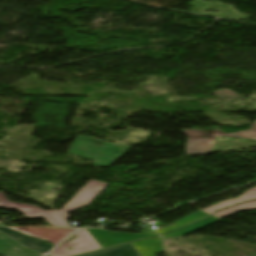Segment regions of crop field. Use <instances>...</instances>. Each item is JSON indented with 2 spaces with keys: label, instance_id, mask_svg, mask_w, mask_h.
<instances>
[{
  "label": "crop field",
  "instance_id": "obj_1",
  "mask_svg": "<svg viewBox=\"0 0 256 256\" xmlns=\"http://www.w3.org/2000/svg\"><path fill=\"white\" fill-rule=\"evenodd\" d=\"M107 185V183L95 180L88 181L62 210L43 211L35 206L10 202L1 191L0 206L19 210L26 218L45 217L51 226L70 227L65 221L68 218L65 212H73L88 205Z\"/></svg>",
  "mask_w": 256,
  "mask_h": 256
},
{
  "label": "crop field",
  "instance_id": "obj_2",
  "mask_svg": "<svg viewBox=\"0 0 256 256\" xmlns=\"http://www.w3.org/2000/svg\"><path fill=\"white\" fill-rule=\"evenodd\" d=\"M125 149L127 148L77 134L68 153L93 159L94 166H108L126 154L127 152H121Z\"/></svg>",
  "mask_w": 256,
  "mask_h": 256
},
{
  "label": "crop field",
  "instance_id": "obj_3",
  "mask_svg": "<svg viewBox=\"0 0 256 256\" xmlns=\"http://www.w3.org/2000/svg\"><path fill=\"white\" fill-rule=\"evenodd\" d=\"M182 132L186 136L190 137L187 140L186 146L188 156L202 155L211 152L215 141V136L250 138L256 140V122L251 125L250 130L239 131L232 134H225L216 129L211 132L198 129L182 130Z\"/></svg>",
  "mask_w": 256,
  "mask_h": 256
},
{
  "label": "crop field",
  "instance_id": "obj_4",
  "mask_svg": "<svg viewBox=\"0 0 256 256\" xmlns=\"http://www.w3.org/2000/svg\"><path fill=\"white\" fill-rule=\"evenodd\" d=\"M75 234L78 237L77 239L57 247L49 256H71L101 249L86 229L77 231ZM67 247H72L74 250H68Z\"/></svg>",
  "mask_w": 256,
  "mask_h": 256
},
{
  "label": "crop field",
  "instance_id": "obj_5",
  "mask_svg": "<svg viewBox=\"0 0 256 256\" xmlns=\"http://www.w3.org/2000/svg\"><path fill=\"white\" fill-rule=\"evenodd\" d=\"M87 230L102 248L127 242V241H131V240H135V239H139V238L158 236L155 233L133 235V234H125V233H110L102 229H87Z\"/></svg>",
  "mask_w": 256,
  "mask_h": 256
},
{
  "label": "crop field",
  "instance_id": "obj_6",
  "mask_svg": "<svg viewBox=\"0 0 256 256\" xmlns=\"http://www.w3.org/2000/svg\"><path fill=\"white\" fill-rule=\"evenodd\" d=\"M0 232L10 236L24 247L42 254H46L51 248L54 247L53 245L46 244V240L31 237L9 228H0Z\"/></svg>",
  "mask_w": 256,
  "mask_h": 256
},
{
  "label": "crop field",
  "instance_id": "obj_7",
  "mask_svg": "<svg viewBox=\"0 0 256 256\" xmlns=\"http://www.w3.org/2000/svg\"><path fill=\"white\" fill-rule=\"evenodd\" d=\"M0 253L7 256H42L22 248L13 240L0 234Z\"/></svg>",
  "mask_w": 256,
  "mask_h": 256
},
{
  "label": "crop field",
  "instance_id": "obj_8",
  "mask_svg": "<svg viewBox=\"0 0 256 256\" xmlns=\"http://www.w3.org/2000/svg\"><path fill=\"white\" fill-rule=\"evenodd\" d=\"M141 256H155L162 252L160 237L157 239H146L132 243Z\"/></svg>",
  "mask_w": 256,
  "mask_h": 256
},
{
  "label": "crop field",
  "instance_id": "obj_9",
  "mask_svg": "<svg viewBox=\"0 0 256 256\" xmlns=\"http://www.w3.org/2000/svg\"><path fill=\"white\" fill-rule=\"evenodd\" d=\"M256 200V188H253L251 190L246 191L243 195L239 196L238 198L234 200H228L226 202L211 206L207 209H204L202 211L211 214L213 212L219 211L221 209L230 207L232 205L238 204L240 202H247V201H252Z\"/></svg>",
  "mask_w": 256,
  "mask_h": 256
},
{
  "label": "crop field",
  "instance_id": "obj_10",
  "mask_svg": "<svg viewBox=\"0 0 256 256\" xmlns=\"http://www.w3.org/2000/svg\"><path fill=\"white\" fill-rule=\"evenodd\" d=\"M82 256H139L130 243Z\"/></svg>",
  "mask_w": 256,
  "mask_h": 256
},
{
  "label": "crop field",
  "instance_id": "obj_11",
  "mask_svg": "<svg viewBox=\"0 0 256 256\" xmlns=\"http://www.w3.org/2000/svg\"><path fill=\"white\" fill-rule=\"evenodd\" d=\"M218 221H220V220H218V219H216V218L211 216V217H208V218L203 219L201 221H198V222H196V223H194L192 225H189V226H187L185 228H182L180 230H177V231H174L172 233H169V234H167V235H165L163 237L186 235V234L194 232V231H196L198 229H201L203 227H206V226L211 225V224H213L215 222H218Z\"/></svg>",
  "mask_w": 256,
  "mask_h": 256
},
{
  "label": "crop field",
  "instance_id": "obj_12",
  "mask_svg": "<svg viewBox=\"0 0 256 256\" xmlns=\"http://www.w3.org/2000/svg\"><path fill=\"white\" fill-rule=\"evenodd\" d=\"M199 211H200V210H199ZM197 212H198V211H197ZM207 216H209V215L206 214V213H204V212H202V211H200V212L195 213V214H193V215H191V216H188V217H186V218H183V219L174 221L175 226H173V227H163V228H161V229H159V230H156V232H158L160 235H162V234H164V233H167V232H169V231H172V230H174V229H177V228H179V227H182V226H184V225H187V224H189V223H192V222H194V221H197V220L202 219V218L207 217Z\"/></svg>",
  "mask_w": 256,
  "mask_h": 256
},
{
  "label": "crop field",
  "instance_id": "obj_13",
  "mask_svg": "<svg viewBox=\"0 0 256 256\" xmlns=\"http://www.w3.org/2000/svg\"><path fill=\"white\" fill-rule=\"evenodd\" d=\"M251 209H256V201L248 202V203H244V204H240V205L231 207L229 209H226L224 211L216 213L213 216L221 219L223 217H226V216L233 214L235 212H238L240 210H251Z\"/></svg>",
  "mask_w": 256,
  "mask_h": 256
}]
</instances>
